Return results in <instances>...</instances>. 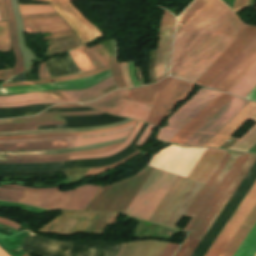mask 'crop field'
<instances>
[{
  "instance_id": "1",
  "label": "crop field",
  "mask_w": 256,
  "mask_h": 256,
  "mask_svg": "<svg viewBox=\"0 0 256 256\" xmlns=\"http://www.w3.org/2000/svg\"><path fill=\"white\" fill-rule=\"evenodd\" d=\"M225 153L224 150L207 148L188 179L205 184ZM176 178V175L154 168L125 214L148 221ZM188 179L178 176L150 222L175 228L203 187V184Z\"/></svg>"
},
{
  "instance_id": "2",
  "label": "crop field",
  "mask_w": 256,
  "mask_h": 256,
  "mask_svg": "<svg viewBox=\"0 0 256 256\" xmlns=\"http://www.w3.org/2000/svg\"><path fill=\"white\" fill-rule=\"evenodd\" d=\"M247 156L248 154L246 153L227 151L196 199L185 213L186 216H190L192 219L185 226L183 231L190 234L175 256L180 255Z\"/></svg>"
},
{
  "instance_id": "3",
  "label": "crop field",
  "mask_w": 256,
  "mask_h": 256,
  "mask_svg": "<svg viewBox=\"0 0 256 256\" xmlns=\"http://www.w3.org/2000/svg\"><path fill=\"white\" fill-rule=\"evenodd\" d=\"M247 27L232 12L173 77L195 83Z\"/></svg>"
},
{
  "instance_id": "4",
  "label": "crop field",
  "mask_w": 256,
  "mask_h": 256,
  "mask_svg": "<svg viewBox=\"0 0 256 256\" xmlns=\"http://www.w3.org/2000/svg\"><path fill=\"white\" fill-rule=\"evenodd\" d=\"M4 187L16 188V189H27L34 191H49V190H60L61 188L54 189H30L19 185H7ZM100 187L94 185H82L70 192L65 191H49V192H34L23 190L18 202L44 207L48 209H78L86 210ZM1 192H7L14 194L7 195L0 193V199L6 201L16 202L21 191L14 189L0 188Z\"/></svg>"
},
{
  "instance_id": "5",
  "label": "crop field",
  "mask_w": 256,
  "mask_h": 256,
  "mask_svg": "<svg viewBox=\"0 0 256 256\" xmlns=\"http://www.w3.org/2000/svg\"><path fill=\"white\" fill-rule=\"evenodd\" d=\"M193 87V84L168 77L157 84L135 88L124 97L154 105L147 123L159 126L174 107L189 96Z\"/></svg>"
},
{
  "instance_id": "6",
  "label": "crop field",
  "mask_w": 256,
  "mask_h": 256,
  "mask_svg": "<svg viewBox=\"0 0 256 256\" xmlns=\"http://www.w3.org/2000/svg\"><path fill=\"white\" fill-rule=\"evenodd\" d=\"M152 170L147 166L129 179L103 186L87 211L124 213Z\"/></svg>"
},
{
  "instance_id": "7",
  "label": "crop field",
  "mask_w": 256,
  "mask_h": 256,
  "mask_svg": "<svg viewBox=\"0 0 256 256\" xmlns=\"http://www.w3.org/2000/svg\"><path fill=\"white\" fill-rule=\"evenodd\" d=\"M206 148H181L170 145L154 154L153 166L187 178Z\"/></svg>"
},
{
  "instance_id": "8",
  "label": "crop field",
  "mask_w": 256,
  "mask_h": 256,
  "mask_svg": "<svg viewBox=\"0 0 256 256\" xmlns=\"http://www.w3.org/2000/svg\"><path fill=\"white\" fill-rule=\"evenodd\" d=\"M219 94V92L201 88L187 103L185 102L186 104L169 118L167 126L161 128L157 138L169 142Z\"/></svg>"
},
{
  "instance_id": "9",
  "label": "crop field",
  "mask_w": 256,
  "mask_h": 256,
  "mask_svg": "<svg viewBox=\"0 0 256 256\" xmlns=\"http://www.w3.org/2000/svg\"><path fill=\"white\" fill-rule=\"evenodd\" d=\"M255 180L256 162L191 256H204L210 245L213 243V241L222 230L228 219L231 217L237 206L240 204L246 193L249 191Z\"/></svg>"
},
{
  "instance_id": "10",
  "label": "crop field",
  "mask_w": 256,
  "mask_h": 256,
  "mask_svg": "<svg viewBox=\"0 0 256 256\" xmlns=\"http://www.w3.org/2000/svg\"><path fill=\"white\" fill-rule=\"evenodd\" d=\"M256 161V155L249 154L245 162L242 164L234 178L231 180L223 194L220 196L210 213L207 215L199 229L196 231L188 245L185 247L180 256H190L194 251L202 237L205 235L211 224L214 222L222 208L225 206L231 195L234 193L242 179L245 177L253 163Z\"/></svg>"
},
{
  "instance_id": "11",
  "label": "crop field",
  "mask_w": 256,
  "mask_h": 256,
  "mask_svg": "<svg viewBox=\"0 0 256 256\" xmlns=\"http://www.w3.org/2000/svg\"><path fill=\"white\" fill-rule=\"evenodd\" d=\"M248 103L249 101L234 97L188 140H186L183 145L202 146Z\"/></svg>"
},
{
  "instance_id": "12",
  "label": "crop field",
  "mask_w": 256,
  "mask_h": 256,
  "mask_svg": "<svg viewBox=\"0 0 256 256\" xmlns=\"http://www.w3.org/2000/svg\"><path fill=\"white\" fill-rule=\"evenodd\" d=\"M256 203V182L211 245L205 256H219Z\"/></svg>"
},
{
  "instance_id": "13",
  "label": "crop field",
  "mask_w": 256,
  "mask_h": 256,
  "mask_svg": "<svg viewBox=\"0 0 256 256\" xmlns=\"http://www.w3.org/2000/svg\"><path fill=\"white\" fill-rule=\"evenodd\" d=\"M52 7L63 17L78 34L82 43L102 37L101 32L94 27L70 2V0H47Z\"/></svg>"
},
{
  "instance_id": "14",
  "label": "crop field",
  "mask_w": 256,
  "mask_h": 256,
  "mask_svg": "<svg viewBox=\"0 0 256 256\" xmlns=\"http://www.w3.org/2000/svg\"><path fill=\"white\" fill-rule=\"evenodd\" d=\"M175 18L164 11L157 47L155 79L156 82L168 75L171 56Z\"/></svg>"
},
{
  "instance_id": "15",
  "label": "crop field",
  "mask_w": 256,
  "mask_h": 256,
  "mask_svg": "<svg viewBox=\"0 0 256 256\" xmlns=\"http://www.w3.org/2000/svg\"><path fill=\"white\" fill-rule=\"evenodd\" d=\"M95 213L63 211L38 231L54 234L72 235L84 232Z\"/></svg>"
},
{
  "instance_id": "16",
  "label": "crop field",
  "mask_w": 256,
  "mask_h": 256,
  "mask_svg": "<svg viewBox=\"0 0 256 256\" xmlns=\"http://www.w3.org/2000/svg\"><path fill=\"white\" fill-rule=\"evenodd\" d=\"M114 84L112 77L85 90L80 91H43L37 93L21 94L15 96H0V103H20L29 100H39V99H50V100H60V99H72L89 97L96 94L109 86Z\"/></svg>"
},
{
  "instance_id": "17",
  "label": "crop field",
  "mask_w": 256,
  "mask_h": 256,
  "mask_svg": "<svg viewBox=\"0 0 256 256\" xmlns=\"http://www.w3.org/2000/svg\"><path fill=\"white\" fill-rule=\"evenodd\" d=\"M131 130L119 132L107 136L95 137V138H85V139H75L68 142L69 148L106 142L110 140L119 139L125 137L129 134ZM68 148L66 141L58 142H42V143H32V144H10V145H0V151H14V150H45V149H59Z\"/></svg>"
},
{
  "instance_id": "18",
  "label": "crop field",
  "mask_w": 256,
  "mask_h": 256,
  "mask_svg": "<svg viewBox=\"0 0 256 256\" xmlns=\"http://www.w3.org/2000/svg\"><path fill=\"white\" fill-rule=\"evenodd\" d=\"M255 35L256 27L249 26L241 34V36L223 53V55L204 73V75L196 82V84L207 86Z\"/></svg>"
},
{
  "instance_id": "19",
  "label": "crop field",
  "mask_w": 256,
  "mask_h": 256,
  "mask_svg": "<svg viewBox=\"0 0 256 256\" xmlns=\"http://www.w3.org/2000/svg\"><path fill=\"white\" fill-rule=\"evenodd\" d=\"M111 77L110 70L95 75L93 77L84 78L80 80H72V81H63L58 83H50V84H42V85H34V86H24V87H9V88H0L1 91H13V90H23L30 89L36 87H44V86H61L58 88H37L31 90L17 91V92H1L0 95H14L26 92L33 91H43V90H70V89H85L91 87L107 78Z\"/></svg>"
},
{
  "instance_id": "20",
  "label": "crop field",
  "mask_w": 256,
  "mask_h": 256,
  "mask_svg": "<svg viewBox=\"0 0 256 256\" xmlns=\"http://www.w3.org/2000/svg\"><path fill=\"white\" fill-rule=\"evenodd\" d=\"M233 96L221 93L212 101L196 118H194L178 135L170 142L182 144L196 130H198L207 120H209L218 110H220Z\"/></svg>"
},
{
  "instance_id": "21",
  "label": "crop field",
  "mask_w": 256,
  "mask_h": 256,
  "mask_svg": "<svg viewBox=\"0 0 256 256\" xmlns=\"http://www.w3.org/2000/svg\"><path fill=\"white\" fill-rule=\"evenodd\" d=\"M255 113H256V103L250 102L245 108H243L233 119H231L221 130H219L203 146L218 148L234 132H236L246 121H248Z\"/></svg>"
},
{
  "instance_id": "22",
  "label": "crop field",
  "mask_w": 256,
  "mask_h": 256,
  "mask_svg": "<svg viewBox=\"0 0 256 256\" xmlns=\"http://www.w3.org/2000/svg\"><path fill=\"white\" fill-rule=\"evenodd\" d=\"M167 245L157 240L126 243L118 256H160Z\"/></svg>"
},
{
  "instance_id": "23",
  "label": "crop field",
  "mask_w": 256,
  "mask_h": 256,
  "mask_svg": "<svg viewBox=\"0 0 256 256\" xmlns=\"http://www.w3.org/2000/svg\"><path fill=\"white\" fill-rule=\"evenodd\" d=\"M25 32L32 34L50 32L52 34L71 30L61 17L23 21Z\"/></svg>"
},
{
  "instance_id": "24",
  "label": "crop field",
  "mask_w": 256,
  "mask_h": 256,
  "mask_svg": "<svg viewBox=\"0 0 256 256\" xmlns=\"http://www.w3.org/2000/svg\"><path fill=\"white\" fill-rule=\"evenodd\" d=\"M128 91L130 90H115L95 102L86 103L84 105H88L118 115L122 107L128 101L127 99H123L121 97Z\"/></svg>"
},
{
  "instance_id": "25",
  "label": "crop field",
  "mask_w": 256,
  "mask_h": 256,
  "mask_svg": "<svg viewBox=\"0 0 256 256\" xmlns=\"http://www.w3.org/2000/svg\"><path fill=\"white\" fill-rule=\"evenodd\" d=\"M143 125V122H138L134 129L131 131L129 136L126 138V140L116 149L109 151L107 153L103 154H98V155H82V156H74L71 157V160H76V159H84V158H99V157H105L109 155H113L121 150H123L125 147H127L135 134L138 132L140 127ZM60 160H70V157H65V158H56V159H35V160H9V161H0V163H29V162H46V161H60Z\"/></svg>"
},
{
  "instance_id": "26",
  "label": "crop field",
  "mask_w": 256,
  "mask_h": 256,
  "mask_svg": "<svg viewBox=\"0 0 256 256\" xmlns=\"http://www.w3.org/2000/svg\"><path fill=\"white\" fill-rule=\"evenodd\" d=\"M255 62L256 47L243 59V61L224 79V81L216 89L227 92Z\"/></svg>"
},
{
  "instance_id": "27",
  "label": "crop field",
  "mask_w": 256,
  "mask_h": 256,
  "mask_svg": "<svg viewBox=\"0 0 256 256\" xmlns=\"http://www.w3.org/2000/svg\"><path fill=\"white\" fill-rule=\"evenodd\" d=\"M4 3H5L6 14H7V18H8L12 50H13V53L15 54V59H16V64H15L14 72H13V76H14V75L24 71V67H23L21 53H20V50H19L18 44H17V34H16V26H15L13 11H12L9 0H4Z\"/></svg>"
},
{
  "instance_id": "28",
  "label": "crop field",
  "mask_w": 256,
  "mask_h": 256,
  "mask_svg": "<svg viewBox=\"0 0 256 256\" xmlns=\"http://www.w3.org/2000/svg\"><path fill=\"white\" fill-rule=\"evenodd\" d=\"M255 222H256V206L253 208V210L245 220V223H249L252 225H254ZM245 223H243V225L240 227L236 235L233 237V239L228 244L224 252L221 254V256H232L235 253V251L237 250V248L239 247V245L241 244L245 236L248 234V232L252 228V225H248Z\"/></svg>"
},
{
  "instance_id": "29",
  "label": "crop field",
  "mask_w": 256,
  "mask_h": 256,
  "mask_svg": "<svg viewBox=\"0 0 256 256\" xmlns=\"http://www.w3.org/2000/svg\"><path fill=\"white\" fill-rule=\"evenodd\" d=\"M14 15H15V20L17 24V33H18V43L21 49V53L25 62V69H27V66L35 59L36 54L33 53L26 45L25 39H24V34H23V26H22V19L17 7V2L16 0H10ZM38 60V58H37ZM36 60V61H37ZM34 63V62H33Z\"/></svg>"
},
{
  "instance_id": "30",
  "label": "crop field",
  "mask_w": 256,
  "mask_h": 256,
  "mask_svg": "<svg viewBox=\"0 0 256 256\" xmlns=\"http://www.w3.org/2000/svg\"><path fill=\"white\" fill-rule=\"evenodd\" d=\"M101 113L103 112L94 111V112L41 113L35 117L0 120V124L60 120L58 116H87V115H97Z\"/></svg>"
},
{
  "instance_id": "31",
  "label": "crop field",
  "mask_w": 256,
  "mask_h": 256,
  "mask_svg": "<svg viewBox=\"0 0 256 256\" xmlns=\"http://www.w3.org/2000/svg\"><path fill=\"white\" fill-rule=\"evenodd\" d=\"M256 85V63L241 77L228 93L244 98Z\"/></svg>"
},
{
  "instance_id": "32",
  "label": "crop field",
  "mask_w": 256,
  "mask_h": 256,
  "mask_svg": "<svg viewBox=\"0 0 256 256\" xmlns=\"http://www.w3.org/2000/svg\"><path fill=\"white\" fill-rule=\"evenodd\" d=\"M256 46V36L249 44L224 68V70L208 85L215 89L223 79L241 62V60Z\"/></svg>"
},
{
  "instance_id": "33",
  "label": "crop field",
  "mask_w": 256,
  "mask_h": 256,
  "mask_svg": "<svg viewBox=\"0 0 256 256\" xmlns=\"http://www.w3.org/2000/svg\"><path fill=\"white\" fill-rule=\"evenodd\" d=\"M125 139V138H124ZM124 139L115 140L111 142L76 147L72 149H60V150H45V151H14V152H0V155H39V154H52V153H63V152H71V151H79V150H87V149H97L107 145L115 144L118 142H123Z\"/></svg>"
},
{
  "instance_id": "34",
  "label": "crop field",
  "mask_w": 256,
  "mask_h": 256,
  "mask_svg": "<svg viewBox=\"0 0 256 256\" xmlns=\"http://www.w3.org/2000/svg\"><path fill=\"white\" fill-rule=\"evenodd\" d=\"M153 106L141 104L130 100L124 108L121 110L119 115L136 118L142 121H146Z\"/></svg>"
},
{
  "instance_id": "35",
  "label": "crop field",
  "mask_w": 256,
  "mask_h": 256,
  "mask_svg": "<svg viewBox=\"0 0 256 256\" xmlns=\"http://www.w3.org/2000/svg\"><path fill=\"white\" fill-rule=\"evenodd\" d=\"M118 215L119 214L96 213L84 233H94L102 235L106 226L115 223Z\"/></svg>"
},
{
  "instance_id": "36",
  "label": "crop field",
  "mask_w": 256,
  "mask_h": 256,
  "mask_svg": "<svg viewBox=\"0 0 256 256\" xmlns=\"http://www.w3.org/2000/svg\"><path fill=\"white\" fill-rule=\"evenodd\" d=\"M134 125H132L130 127H127V128L119 129L117 131H112V132H104V133H96V134H88V135H79V136H68V137H47V138H38V139L8 140V141H0V144L32 143V142H42V141L70 140V139L82 138V137L100 136V135H106V134H110V133H115V132L131 129V128L134 127Z\"/></svg>"
},
{
  "instance_id": "37",
  "label": "crop field",
  "mask_w": 256,
  "mask_h": 256,
  "mask_svg": "<svg viewBox=\"0 0 256 256\" xmlns=\"http://www.w3.org/2000/svg\"><path fill=\"white\" fill-rule=\"evenodd\" d=\"M132 121L131 119H127L124 121L116 122L113 124H109L101 127H93V128H70V129H54V130H36V131H21V132H0V135H17V134H36V133H52V132H76V131H88L94 129L108 128L123 125Z\"/></svg>"
},
{
  "instance_id": "38",
  "label": "crop field",
  "mask_w": 256,
  "mask_h": 256,
  "mask_svg": "<svg viewBox=\"0 0 256 256\" xmlns=\"http://www.w3.org/2000/svg\"><path fill=\"white\" fill-rule=\"evenodd\" d=\"M209 0H195L177 19L175 35L194 17Z\"/></svg>"
},
{
  "instance_id": "39",
  "label": "crop field",
  "mask_w": 256,
  "mask_h": 256,
  "mask_svg": "<svg viewBox=\"0 0 256 256\" xmlns=\"http://www.w3.org/2000/svg\"><path fill=\"white\" fill-rule=\"evenodd\" d=\"M109 69V66L99 69L93 72L85 73V74H78V75H69V76H63V77H55V78H48L44 80H37V81H31V82H20L15 84H4L2 87H9V86H24V85H33V84H41V83H50V82H58L63 80H71V79H80L88 76H92L94 74L103 72L105 70Z\"/></svg>"
},
{
  "instance_id": "40",
  "label": "crop field",
  "mask_w": 256,
  "mask_h": 256,
  "mask_svg": "<svg viewBox=\"0 0 256 256\" xmlns=\"http://www.w3.org/2000/svg\"><path fill=\"white\" fill-rule=\"evenodd\" d=\"M121 144V143H120ZM120 144L107 146L97 150H88L64 154H52V155H39V156H5V159H34V158H55V157H64V156H73V155H82V154H97L107 152L119 146Z\"/></svg>"
},
{
  "instance_id": "41",
  "label": "crop field",
  "mask_w": 256,
  "mask_h": 256,
  "mask_svg": "<svg viewBox=\"0 0 256 256\" xmlns=\"http://www.w3.org/2000/svg\"><path fill=\"white\" fill-rule=\"evenodd\" d=\"M256 254V224L242 242L234 256H254Z\"/></svg>"
},
{
  "instance_id": "42",
  "label": "crop field",
  "mask_w": 256,
  "mask_h": 256,
  "mask_svg": "<svg viewBox=\"0 0 256 256\" xmlns=\"http://www.w3.org/2000/svg\"><path fill=\"white\" fill-rule=\"evenodd\" d=\"M136 121L137 120H134L126 125L119 126V127L101 129V130H95V131H88V132H82V133H53V134H37V135H21V136H2V137H0V140L20 139V138H38V137H47V136H68V135H78V134H88V133H96V132H103V131H111V130H117L119 128L129 126V125L135 123Z\"/></svg>"
},
{
  "instance_id": "43",
  "label": "crop field",
  "mask_w": 256,
  "mask_h": 256,
  "mask_svg": "<svg viewBox=\"0 0 256 256\" xmlns=\"http://www.w3.org/2000/svg\"><path fill=\"white\" fill-rule=\"evenodd\" d=\"M69 54L73 58L81 72L96 70L95 66L86 57L80 47L73 51H69Z\"/></svg>"
},
{
  "instance_id": "44",
  "label": "crop field",
  "mask_w": 256,
  "mask_h": 256,
  "mask_svg": "<svg viewBox=\"0 0 256 256\" xmlns=\"http://www.w3.org/2000/svg\"><path fill=\"white\" fill-rule=\"evenodd\" d=\"M64 124L62 121L56 122H37V123H23V124H5L0 125V131H21L37 129L36 125H59Z\"/></svg>"
},
{
  "instance_id": "45",
  "label": "crop field",
  "mask_w": 256,
  "mask_h": 256,
  "mask_svg": "<svg viewBox=\"0 0 256 256\" xmlns=\"http://www.w3.org/2000/svg\"><path fill=\"white\" fill-rule=\"evenodd\" d=\"M111 90L108 88L105 91L94 95L90 98H81V99H72V100H60V101H29V102H25V103H20V104H7V105H0V108L3 107H16V106H25V105H31V104H36V103H66V102H87V101H91V100H95L105 94H107L108 92H110Z\"/></svg>"
},
{
  "instance_id": "46",
  "label": "crop field",
  "mask_w": 256,
  "mask_h": 256,
  "mask_svg": "<svg viewBox=\"0 0 256 256\" xmlns=\"http://www.w3.org/2000/svg\"><path fill=\"white\" fill-rule=\"evenodd\" d=\"M79 45H81V43H80L78 38L63 41V42H59V43H56V44H53V45L49 46L47 51H51V50H55V49H61V50L50 52V53H45V55L55 53V52L70 50V49H73V48H75Z\"/></svg>"
},
{
  "instance_id": "47",
  "label": "crop field",
  "mask_w": 256,
  "mask_h": 256,
  "mask_svg": "<svg viewBox=\"0 0 256 256\" xmlns=\"http://www.w3.org/2000/svg\"><path fill=\"white\" fill-rule=\"evenodd\" d=\"M19 8L21 14L55 12L51 6L44 5H21Z\"/></svg>"
},
{
  "instance_id": "48",
  "label": "crop field",
  "mask_w": 256,
  "mask_h": 256,
  "mask_svg": "<svg viewBox=\"0 0 256 256\" xmlns=\"http://www.w3.org/2000/svg\"><path fill=\"white\" fill-rule=\"evenodd\" d=\"M139 152L141 151H136L134 153H132L131 155L125 157L124 159L120 160L119 162L115 163V164H112V165H109V166H105V167H100V168H90V170L87 172V174L83 177H87V176H91V175H97V174H101L105 171H108L124 162H126L127 160H129L130 158H132L133 156H135L136 154H138ZM82 179V178H81Z\"/></svg>"
},
{
  "instance_id": "49",
  "label": "crop field",
  "mask_w": 256,
  "mask_h": 256,
  "mask_svg": "<svg viewBox=\"0 0 256 256\" xmlns=\"http://www.w3.org/2000/svg\"><path fill=\"white\" fill-rule=\"evenodd\" d=\"M9 47L10 39L7 22L0 23V50L1 52L9 51Z\"/></svg>"
},
{
  "instance_id": "50",
  "label": "crop field",
  "mask_w": 256,
  "mask_h": 256,
  "mask_svg": "<svg viewBox=\"0 0 256 256\" xmlns=\"http://www.w3.org/2000/svg\"><path fill=\"white\" fill-rule=\"evenodd\" d=\"M175 232H179L170 228L158 226L152 237H163V238H170L171 235Z\"/></svg>"
},
{
  "instance_id": "51",
  "label": "crop field",
  "mask_w": 256,
  "mask_h": 256,
  "mask_svg": "<svg viewBox=\"0 0 256 256\" xmlns=\"http://www.w3.org/2000/svg\"><path fill=\"white\" fill-rule=\"evenodd\" d=\"M156 126L150 125L148 124V126L146 127L145 131L143 132V134L141 135L140 139L138 140V142L136 143V145L139 146H143L144 143L146 142V140L149 138V136L151 135L152 129L155 128Z\"/></svg>"
},
{
  "instance_id": "52",
  "label": "crop field",
  "mask_w": 256,
  "mask_h": 256,
  "mask_svg": "<svg viewBox=\"0 0 256 256\" xmlns=\"http://www.w3.org/2000/svg\"><path fill=\"white\" fill-rule=\"evenodd\" d=\"M82 50L85 52L87 57L91 60V62L96 66L97 69L103 67L101 63L96 59V57L91 53V51L85 46H81Z\"/></svg>"
},
{
  "instance_id": "53",
  "label": "crop field",
  "mask_w": 256,
  "mask_h": 256,
  "mask_svg": "<svg viewBox=\"0 0 256 256\" xmlns=\"http://www.w3.org/2000/svg\"><path fill=\"white\" fill-rule=\"evenodd\" d=\"M120 65H121V69H122V73H123V81H124L126 87L133 86V84L130 81L129 76H128L127 62L120 63Z\"/></svg>"
},
{
  "instance_id": "54",
  "label": "crop field",
  "mask_w": 256,
  "mask_h": 256,
  "mask_svg": "<svg viewBox=\"0 0 256 256\" xmlns=\"http://www.w3.org/2000/svg\"><path fill=\"white\" fill-rule=\"evenodd\" d=\"M23 20L43 18V17H55L59 16L57 13H48V14H30V15H21Z\"/></svg>"
},
{
  "instance_id": "55",
  "label": "crop field",
  "mask_w": 256,
  "mask_h": 256,
  "mask_svg": "<svg viewBox=\"0 0 256 256\" xmlns=\"http://www.w3.org/2000/svg\"><path fill=\"white\" fill-rule=\"evenodd\" d=\"M248 4H249V0H235L233 10L235 12H238V11L244 9L245 7H247Z\"/></svg>"
},
{
  "instance_id": "56",
  "label": "crop field",
  "mask_w": 256,
  "mask_h": 256,
  "mask_svg": "<svg viewBox=\"0 0 256 256\" xmlns=\"http://www.w3.org/2000/svg\"><path fill=\"white\" fill-rule=\"evenodd\" d=\"M178 247L179 245L169 243V245L167 246V248L165 249V251L161 256H172L175 253V251L178 249Z\"/></svg>"
},
{
  "instance_id": "57",
  "label": "crop field",
  "mask_w": 256,
  "mask_h": 256,
  "mask_svg": "<svg viewBox=\"0 0 256 256\" xmlns=\"http://www.w3.org/2000/svg\"><path fill=\"white\" fill-rule=\"evenodd\" d=\"M97 50L103 54V56L107 59L108 63L110 60L111 55L108 53V51L103 47L101 43L95 45Z\"/></svg>"
},
{
  "instance_id": "58",
  "label": "crop field",
  "mask_w": 256,
  "mask_h": 256,
  "mask_svg": "<svg viewBox=\"0 0 256 256\" xmlns=\"http://www.w3.org/2000/svg\"><path fill=\"white\" fill-rule=\"evenodd\" d=\"M92 53L98 58V60L102 63L103 66L108 65L107 61L104 59V57L94 48H90Z\"/></svg>"
},
{
  "instance_id": "59",
  "label": "crop field",
  "mask_w": 256,
  "mask_h": 256,
  "mask_svg": "<svg viewBox=\"0 0 256 256\" xmlns=\"http://www.w3.org/2000/svg\"><path fill=\"white\" fill-rule=\"evenodd\" d=\"M39 76H40L41 79H42V78H48V77H50V75H49V73H48V71H47V69H46L44 63L40 64Z\"/></svg>"
},
{
  "instance_id": "60",
  "label": "crop field",
  "mask_w": 256,
  "mask_h": 256,
  "mask_svg": "<svg viewBox=\"0 0 256 256\" xmlns=\"http://www.w3.org/2000/svg\"><path fill=\"white\" fill-rule=\"evenodd\" d=\"M11 77V69L0 71V80H8Z\"/></svg>"
},
{
  "instance_id": "61",
  "label": "crop field",
  "mask_w": 256,
  "mask_h": 256,
  "mask_svg": "<svg viewBox=\"0 0 256 256\" xmlns=\"http://www.w3.org/2000/svg\"><path fill=\"white\" fill-rule=\"evenodd\" d=\"M0 223H3V224H6V225H9V226H12V227H15V228H18L20 229V225L11 221V220H8V219H5V218H1L0 217Z\"/></svg>"
},
{
  "instance_id": "62",
  "label": "crop field",
  "mask_w": 256,
  "mask_h": 256,
  "mask_svg": "<svg viewBox=\"0 0 256 256\" xmlns=\"http://www.w3.org/2000/svg\"><path fill=\"white\" fill-rule=\"evenodd\" d=\"M73 37H77L76 34L65 36V37H61V38H57V39H53V40H49L47 44L56 43V42L62 41L64 39L73 38Z\"/></svg>"
},
{
  "instance_id": "63",
  "label": "crop field",
  "mask_w": 256,
  "mask_h": 256,
  "mask_svg": "<svg viewBox=\"0 0 256 256\" xmlns=\"http://www.w3.org/2000/svg\"><path fill=\"white\" fill-rule=\"evenodd\" d=\"M245 99H249L252 101H256V86L253 88V90L245 97Z\"/></svg>"
},
{
  "instance_id": "64",
  "label": "crop field",
  "mask_w": 256,
  "mask_h": 256,
  "mask_svg": "<svg viewBox=\"0 0 256 256\" xmlns=\"http://www.w3.org/2000/svg\"><path fill=\"white\" fill-rule=\"evenodd\" d=\"M0 15H1L2 21L6 20L5 9H4V5H3L2 0H0Z\"/></svg>"
},
{
  "instance_id": "65",
  "label": "crop field",
  "mask_w": 256,
  "mask_h": 256,
  "mask_svg": "<svg viewBox=\"0 0 256 256\" xmlns=\"http://www.w3.org/2000/svg\"><path fill=\"white\" fill-rule=\"evenodd\" d=\"M70 107H84L80 104H72V105H62V106H54L52 108H70Z\"/></svg>"
},
{
  "instance_id": "66",
  "label": "crop field",
  "mask_w": 256,
  "mask_h": 256,
  "mask_svg": "<svg viewBox=\"0 0 256 256\" xmlns=\"http://www.w3.org/2000/svg\"><path fill=\"white\" fill-rule=\"evenodd\" d=\"M73 33H74L73 31H70V32H65V33H61V34L51 35V36L45 37L43 39H50V38H54V37H58V36H62V35L73 34Z\"/></svg>"
},
{
  "instance_id": "67",
  "label": "crop field",
  "mask_w": 256,
  "mask_h": 256,
  "mask_svg": "<svg viewBox=\"0 0 256 256\" xmlns=\"http://www.w3.org/2000/svg\"><path fill=\"white\" fill-rule=\"evenodd\" d=\"M0 256H9L7 253H5L1 248H0Z\"/></svg>"
},
{
  "instance_id": "68",
  "label": "crop field",
  "mask_w": 256,
  "mask_h": 256,
  "mask_svg": "<svg viewBox=\"0 0 256 256\" xmlns=\"http://www.w3.org/2000/svg\"><path fill=\"white\" fill-rule=\"evenodd\" d=\"M23 256H27V255L25 254V255H23Z\"/></svg>"
},
{
  "instance_id": "69",
  "label": "crop field",
  "mask_w": 256,
  "mask_h": 256,
  "mask_svg": "<svg viewBox=\"0 0 256 256\" xmlns=\"http://www.w3.org/2000/svg\"><path fill=\"white\" fill-rule=\"evenodd\" d=\"M43 1H46V0H43Z\"/></svg>"
},
{
  "instance_id": "70",
  "label": "crop field",
  "mask_w": 256,
  "mask_h": 256,
  "mask_svg": "<svg viewBox=\"0 0 256 256\" xmlns=\"http://www.w3.org/2000/svg\"><path fill=\"white\" fill-rule=\"evenodd\" d=\"M0 21H1V19H0Z\"/></svg>"
}]
</instances>
